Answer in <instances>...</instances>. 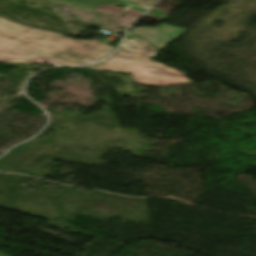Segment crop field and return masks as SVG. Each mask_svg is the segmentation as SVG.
I'll use <instances>...</instances> for the list:
<instances>
[{"instance_id":"crop-field-1","label":"crop field","mask_w":256,"mask_h":256,"mask_svg":"<svg viewBox=\"0 0 256 256\" xmlns=\"http://www.w3.org/2000/svg\"><path fill=\"white\" fill-rule=\"evenodd\" d=\"M113 49L100 42L70 40L60 34L25 27L0 18V61L56 60L70 66H83ZM38 55L51 59H34Z\"/></svg>"},{"instance_id":"crop-field-2","label":"crop field","mask_w":256,"mask_h":256,"mask_svg":"<svg viewBox=\"0 0 256 256\" xmlns=\"http://www.w3.org/2000/svg\"><path fill=\"white\" fill-rule=\"evenodd\" d=\"M133 55L129 59L112 56L96 65L88 67L107 71L132 73L134 83L161 86L192 82L188 78L165 69L159 63L146 57V51L130 43Z\"/></svg>"},{"instance_id":"crop-field-3","label":"crop field","mask_w":256,"mask_h":256,"mask_svg":"<svg viewBox=\"0 0 256 256\" xmlns=\"http://www.w3.org/2000/svg\"><path fill=\"white\" fill-rule=\"evenodd\" d=\"M67 1L75 2V3H79V4L91 6V7H97L98 5L104 4L107 2H119V5L127 7L121 13H124L131 7L142 12V13H144L147 9V7H145V6L138 5V4H132L125 0H67Z\"/></svg>"},{"instance_id":"crop-field-4","label":"crop field","mask_w":256,"mask_h":256,"mask_svg":"<svg viewBox=\"0 0 256 256\" xmlns=\"http://www.w3.org/2000/svg\"><path fill=\"white\" fill-rule=\"evenodd\" d=\"M137 33H135V34H137ZM137 35L140 36L141 38L145 39L149 43L153 44L154 46L158 47L159 49H162V48L166 47L169 44V43H166V42H163V41H159L160 39L156 40L157 38L153 39L154 37L150 38V37H147V36H144V35H141V34H137Z\"/></svg>"},{"instance_id":"crop-field-5","label":"crop field","mask_w":256,"mask_h":256,"mask_svg":"<svg viewBox=\"0 0 256 256\" xmlns=\"http://www.w3.org/2000/svg\"><path fill=\"white\" fill-rule=\"evenodd\" d=\"M149 15L153 16V17H156L160 20H162L163 18H165L168 14L162 12V11H159L155 8H153L150 12H149Z\"/></svg>"},{"instance_id":"crop-field-6","label":"crop field","mask_w":256,"mask_h":256,"mask_svg":"<svg viewBox=\"0 0 256 256\" xmlns=\"http://www.w3.org/2000/svg\"><path fill=\"white\" fill-rule=\"evenodd\" d=\"M134 3H140L147 7H149L151 4H153L156 0H130Z\"/></svg>"}]
</instances>
